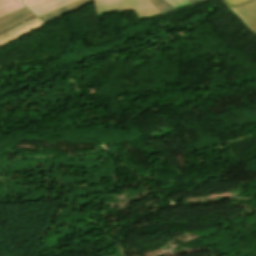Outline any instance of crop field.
Here are the masks:
<instances>
[{"mask_svg": "<svg viewBox=\"0 0 256 256\" xmlns=\"http://www.w3.org/2000/svg\"><path fill=\"white\" fill-rule=\"evenodd\" d=\"M90 1H92V0H80V1H77V2L72 3L70 5L64 6L62 8H59V9H56V10L51 11L49 13H46L44 15H41V16H39V18L42 19L46 23V22H49V21H51V20H53L57 17H60L64 14L68 13V12H70V11H72V10L90 2Z\"/></svg>", "mask_w": 256, "mask_h": 256, "instance_id": "5", "label": "crop field"}, {"mask_svg": "<svg viewBox=\"0 0 256 256\" xmlns=\"http://www.w3.org/2000/svg\"><path fill=\"white\" fill-rule=\"evenodd\" d=\"M175 9L190 5L187 0H166Z\"/></svg>", "mask_w": 256, "mask_h": 256, "instance_id": "9", "label": "crop field"}, {"mask_svg": "<svg viewBox=\"0 0 256 256\" xmlns=\"http://www.w3.org/2000/svg\"><path fill=\"white\" fill-rule=\"evenodd\" d=\"M190 2L191 5L197 4V3H201L207 0H188Z\"/></svg>", "mask_w": 256, "mask_h": 256, "instance_id": "12", "label": "crop field"}, {"mask_svg": "<svg viewBox=\"0 0 256 256\" xmlns=\"http://www.w3.org/2000/svg\"><path fill=\"white\" fill-rule=\"evenodd\" d=\"M229 7L234 6L238 3L244 2L246 0H223Z\"/></svg>", "mask_w": 256, "mask_h": 256, "instance_id": "11", "label": "crop field"}, {"mask_svg": "<svg viewBox=\"0 0 256 256\" xmlns=\"http://www.w3.org/2000/svg\"><path fill=\"white\" fill-rule=\"evenodd\" d=\"M24 10H26V8L21 9V10H18V11H16V12H13V13L8 14V15H5V16H3V17H0V20L3 19V18H5V17H8V16H10V15H13V14H16V13H18V12L24 11Z\"/></svg>", "mask_w": 256, "mask_h": 256, "instance_id": "13", "label": "crop field"}, {"mask_svg": "<svg viewBox=\"0 0 256 256\" xmlns=\"http://www.w3.org/2000/svg\"><path fill=\"white\" fill-rule=\"evenodd\" d=\"M75 1L77 0H22V3L39 16Z\"/></svg>", "mask_w": 256, "mask_h": 256, "instance_id": "3", "label": "crop field"}, {"mask_svg": "<svg viewBox=\"0 0 256 256\" xmlns=\"http://www.w3.org/2000/svg\"><path fill=\"white\" fill-rule=\"evenodd\" d=\"M35 18H37V17L34 16V17H32V18H30V19H28V20H26V21H24V22H22V23H20V24H18V25H16V26L12 27V28H10V29H7V30L1 32V33H0V36H1V35H4V34H7V33L11 32V31L17 29L18 27H20V26L26 24L27 22H29V21H31V20H33V19H35Z\"/></svg>", "mask_w": 256, "mask_h": 256, "instance_id": "10", "label": "crop field"}, {"mask_svg": "<svg viewBox=\"0 0 256 256\" xmlns=\"http://www.w3.org/2000/svg\"><path fill=\"white\" fill-rule=\"evenodd\" d=\"M24 8L20 0H0V16Z\"/></svg>", "mask_w": 256, "mask_h": 256, "instance_id": "7", "label": "crop field"}, {"mask_svg": "<svg viewBox=\"0 0 256 256\" xmlns=\"http://www.w3.org/2000/svg\"><path fill=\"white\" fill-rule=\"evenodd\" d=\"M154 6L162 13H168L175 10L170 4L165 0H150Z\"/></svg>", "mask_w": 256, "mask_h": 256, "instance_id": "8", "label": "crop field"}, {"mask_svg": "<svg viewBox=\"0 0 256 256\" xmlns=\"http://www.w3.org/2000/svg\"><path fill=\"white\" fill-rule=\"evenodd\" d=\"M256 34V0H249L230 8Z\"/></svg>", "mask_w": 256, "mask_h": 256, "instance_id": "2", "label": "crop field"}, {"mask_svg": "<svg viewBox=\"0 0 256 256\" xmlns=\"http://www.w3.org/2000/svg\"><path fill=\"white\" fill-rule=\"evenodd\" d=\"M44 25L38 18L29 22L28 24L18 28L17 30L7 34V35H4V36H1L0 37V45L4 44V43H7L13 39H16L40 26Z\"/></svg>", "mask_w": 256, "mask_h": 256, "instance_id": "4", "label": "crop field"}, {"mask_svg": "<svg viewBox=\"0 0 256 256\" xmlns=\"http://www.w3.org/2000/svg\"><path fill=\"white\" fill-rule=\"evenodd\" d=\"M33 16L28 10L18 13L16 15L10 16L0 21V32Z\"/></svg>", "mask_w": 256, "mask_h": 256, "instance_id": "6", "label": "crop field"}, {"mask_svg": "<svg viewBox=\"0 0 256 256\" xmlns=\"http://www.w3.org/2000/svg\"><path fill=\"white\" fill-rule=\"evenodd\" d=\"M96 16L133 10L138 18H151L161 13L149 0H95Z\"/></svg>", "mask_w": 256, "mask_h": 256, "instance_id": "1", "label": "crop field"}]
</instances>
